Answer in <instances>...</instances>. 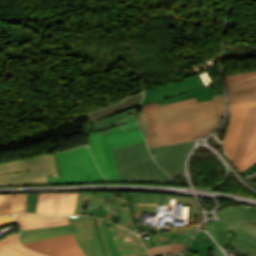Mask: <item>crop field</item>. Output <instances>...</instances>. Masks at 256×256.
<instances>
[{
    "mask_svg": "<svg viewBox=\"0 0 256 256\" xmlns=\"http://www.w3.org/2000/svg\"><path fill=\"white\" fill-rule=\"evenodd\" d=\"M70 225L22 231L20 242L73 233L75 240L86 256H105L97 234L95 218L86 216H69Z\"/></svg>",
    "mask_w": 256,
    "mask_h": 256,
    "instance_id": "ac0d7876",
    "label": "crop field"
},
{
    "mask_svg": "<svg viewBox=\"0 0 256 256\" xmlns=\"http://www.w3.org/2000/svg\"><path fill=\"white\" fill-rule=\"evenodd\" d=\"M214 100L196 102V97L159 107L146 105L143 112H154L157 134L146 137L149 148L194 140L214 130L223 117L224 95H213ZM222 115V117H219Z\"/></svg>",
    "mask_w": 256,
    "mask_h": 256,
    "instance_id": "8a807250",
    "label": "crop field"
},
{
    "mask_svg": "<svg viewBox=\"0 0 256 256\" xmlns=\"http://www.w3.org/2000/svg\"><path fill=\"white\" fill-rule=\"evenodd\" d=\"M141 99H142V93L132 96L130 98H127L125 101L118 103L112 107L105 108V109L99 110L95 113L89 114V115H87V117L92 122L96 119L104 118V117H107L114 113L137 106L140 104Z\"/></svg>",
    "mask_w": 256,
    "mask_h": 256,
    "instance_id": "dafd665d",
    "label": "crop field"
},
{
    "mask_svg": "<svg viewBox=\"0 0 256 256\" xmlns=\"http://www.w3.org/2000/svg\"><path fill=\"white\" fill-rule=\"evenodd\" d=\"M96 221H97L98 233H99V236L101 238V241H102V244H103V247H104V251H105L107 256H111L110 251H109L108 246H107V243H106V240H105V237H104L103 232H102L100 219H96Z\"/></svg>",
    "mask_w": 256,
    "mask_h": 256,
    "instance_id": "750c4746",
    "label": "crop field"
},
{
    "mask_svg": "<svg viewBox=\"0 0 256 256\" xmlns=\"http://www.w3.org/2000/svg\"><path fill=\"white\" fill-rule=\"evenodd\" d=\"M79 193H40L36 213L46 216L73 214Z\"/></svg>",
    "mask_w": 256,
    "mask_h": 256,
    "instance_id": "d1516ede",
    "label": "crop field"
},
{
    "mask_svg": "<svg viewBox=\"0 0 256 256\" xmlns=\"http://www.w3.org/2000/svg\"><path fill=\"white\" fill-rule=\"evenodd\" d=\"M240 207L233 206L225 208L219 212L220 219L219 222L228 225L227 229L235 230L237 225V219L239 215Z\"/></svg>",
    "mask_w": 256,
    "mask_h": 256,
    "instance_id": "a9b5d70f",
    "label": "crop field"
},
{
    "mask_svg": "<svg viewBox=\"0 0 256 256\" xmlns=\"http://www.w3.org/2000/svg\"><path fill=\"white\" fill-rule=\"evenodd\" d=\"M197 96V101L211 100L212 90L206 87L199 75L145 91L142 105L158 102L165 105Z\"/></svg>",
    "mask_w": 256,
    "mask_h": 256,
    "instance_id": "dd49c442",
    "label": "crop field"
},
{
    "mask_svg": "<svg viewBox=\"0 0 256 256\" xmlns=\"http://www.w3.org/2000/svg\"><path fill=\"white\" fill-rule=\"evenodd\" d=\"M100 217L112 221V213H109V209L100 208Z\"/></svg>",
    "mask_w": 256,
    "mask_h": 256,
    "instance_id": "1d83c4d3",
    "label": "crop field"
},
{
    "mask_svg": "<svg viewBox=\"0 0 256 256\" xmlns=\"http://www.w3.org/2000/svg\"><path fill=\"white\" fill-rule=\"evenodd\" d=\"M208 248L214 249L215 256H225L207 233L199 231L184 256H208Z\"/></svg>",
    "mask_w": 256,
    "mask_h": 256,
    "instance_id": "bc2a9ffb",
    "label": "crop field"
},
{
    "mask_svg": "<svg viewBox=\"0 0 256 256\" xmlns=\"http://www.w3.org/2000/svg\"><path fill=\"white\" fill-rule=\"evenodd\" d=\"M232 232H236V233L228 247L243 254L244 256H256V243L253 242L243 232H239V231H232Z\"/></svg>",
    "mask_w": 256,
    "mask_h": 256,
    "instance_id": "00972430",
    "label": "crop field"
},
{
    "mask_svg": "<svg viewBox=\"0 0 256 256\" xmlns=\"http://www.w3.org/2000/svg\"><path fill=\"white\" fill-rule=\"evenodd\" d=\"M132 213L138 227H146V233L154 228H149V225L140 224L141 212L156 213V205H131Z\"/></svg>",
    "mask_w": 256,
    "mask_h": 256,
    "instance_id": "4177f3b9",
    "label": "crop field"
},
{
    "mask_svg": "<svg viewBox=\"0 0 256 256\" xmlns=\"http://www.w3.org/2000/svg\"><path fill=\"white\" fill-rule=\"evenodd\" d=\"M195 226H190L188 228H176L171 229L170 233H159L157 234V229L150 233L153 240L145 241L144 244L157 243L156 245L171 244V243H187L191 236L189 233ZM164 238V240H163Z\"/></svg>",
    "mask_w": 256,
    "mask_h": 256,
    "instance_id": "4a817a6b",
    "label": "crop field"
},
{
    "mask_svg": "<svg viewBox=\"0 0 256 256\" xmlns=\"http://www.w3.org/2000/svg\"><path fill=\"white\" fill-rule=\"evenodd\" d=\"M26 212V194L0 195V215Z\"/></svg>",
    "mask_w": 256,
    "mask_h": 256,
    "instance_id": "92a150f3",
    "label": "crop field"
},
{
    "mask_svg": "<svg viewBox=\"0 0 256 256\" xmlns=\"http://www.w3.org/2000/svg\"><path fill=\"white\" fill-rule=\"evenodd\" d=\"M24 246L50 256H84L72 234L41 239Z\"/></svg>",
    "mask_w": 256,
    "mask_h": 256,
    "instance_id": "28ad6ade",
    "label": "crop field"
},
{
    "mask_svg": "<svg viewBox=\"0 0 256 256\" xmlns=\"http://www.w3.org/2000/svg\"><path fill=\"white\" fill-rule=\"evenodd\" d=\"M145 142L140 129L104 137L101 132L91 133L88 137L93 157L104 175L112 181H119L110 149Z\"/></svg>",
    "mask_w": 256,
    "mask_h": 256,
    "instance_id": "412701ff",
    "label": "crop field"
},
{
    "mask_svg": "<svg viewBox=\"0 0 256 256\" xmlns=\"http://www.w3.org/2000/svg\"><path fill=\"white\" fill-rule=\"evenodd\" d=\"M111 151L120 181H162L171 178L155 164L145 143Z\"/></svg>",
    "mask_w": 256,
    "mask_h": 256,
    "instance_id": "34b2d1b8",
    "label": "crop field"
},
{
    "mask_svg": "<svg viewBox=\"0 0 256 256\" xmlns=\"http://www.w3.org/2000/svg\"><path fill=\"white\" fill-rule=\"evenodd\" d=\"M256 128V107L248 108L238 145L235 149L233 163L242 157L250 143Z\"/></svg>",
    "mask_w": 256,
    "mask_h": 256,
    "instance_id": "d9b57169",
    "label": "crop field"
},
{
    "mask_svg": "<svg viewBox=\"0 0 256 256\" xmlns=\"http://www.w3.org/2000/svg\"><path fill=\"white\" fill-rule=\"evenodd\" d=\"M45 158L47 162L48 175L60 177L57 155H48L45 156Z\"/></svg>",
    "mask_w": 256,
    "mask_h": 256,
    "instance_id": "eef30255",
    "label": "crop field"
},
{
    "mask_svg": "<svg viewBox=\"0 0 256 256\" xmlns=\"http://www.w3.org/2000/svg\"><path fill=\"white\" fill-rule=\"evenodd\" d=\"M127 256H149V255L147 254V251H144V252L131 254V255H127Z\"/></svg>",
    "mask_w": 256,
    "mask_h": 256,
    "instance_id": "d32e631a",
    "label": "crop field"
},
{
    "mask_svg": "<svg viewBox=\"0 0 256 256\" xmlns=\"http://www.w3.org/2000/svg\"><path fill=\"white\" fill-rule=\"evenodd\" d=\"M18 234L19 232L0 240V256H45L22 247L17 240Z\"/></svg>",
    "mask_w": 256,
    "mask_h": 256,
    "instance_id": "214f88e0",
    "label": "crop field"
},
{
    "mask_svg": "<svg viewBox=\"0 0 256 256\" xmlns=\"http://www.w3.org/2000/svg\"><path fill=\"white\" fill-rule=\"evenodd\" d=\"M7 216H10V218H7ZM15 221L16 220L12 215L0 216V226L8 225L14 223Z\"/></svg>",
    "mask_w": 256,
    "mask_h": 256,
    "instance_id": "bd1437ed",
    "label": "crop field"
},
{
    "mask_svg": "<svg viewBox=\"0 0 256 256\" xmlns=\"http://www.w3.org/2000/svg\"><path fill=\"white\" fill-rule=\"evenodd\" d=\"M84 199L99 200L98 207L105 208H121V217L123 225H134L129 211L127 196H119L117 194H98V193H80L74 214H80ZM91 208V203H89ZM90 215V209H88Z\"/></svg>",
    "mask_w": 256,
    "mask_h": 256,
    "instance_id": "22f410ed",
    "label": "crop field"
},
{
    "mask_svg": "<svg viewBox=\"0 0 256 256\" xmlns=\"http://www.w3.org/2000/svg\"><path fill=\"white\" fill-rule=\"evenodd\" d=\"M46 182L43 157L0 164V185L39 184Z\"/></svg>",
    "mask_w": 256,
    "mask_h": 256,
    "instance_id": "e52e79f7",
    "label": "crop field"
},
{
    "mask_svg": "<svg viewBox=\"0 0 256 256\" xmlns=\"http://www.w3.org/2000/svg\"><path fill=\"white\" fill-rule=\"evenodd\" d=\"M61 178L48 176V183H89L108 182L99 173L88 147L59 153Z\"/></svg>",
    "mask_w": 256,
    "mask_h": 256,
    "instance_id": "f4fd0767",
    "label": "crop field"
},
{
    "mask_svg": "<svg viewBox=\"0 0 256 256\" xmlns=\"http://www.w3.org/2000/svg\"><path fill=\"white\" fill-rule=\"evenodd\" d=\"M183 246L184 244H171L148 248L147 250L151 256H159L167 253H180Z\"/></svg>",
    "mask_w": 256,
    "mask_h": 256,
    "instance_id": "730fd06b",
    "label": "crop field"
},
{
    "mask_svg": "<svg viewBox=\"0 0 256 256\" xmlns=\"http://www.w3.org/2000/svg\"><path fill=\"white\" fill-rule=\"evenodd\" d=\"M15 218L22 230L69 224L67 216L60 218H47L35 214H19L15 215Z\"/></svg>",
    "mask_w": 256,
    "mask_h": 256,
    "instance_id": "733c2abd",
    "label": "crop field"
},
{
    "mask_svg": "<svg viewBox=\"0 0 256 256\" xmlns=\"http://www.w3.org/2000/svg\"><path fill=\"white\" fill-rule=\"evenodd\" d=\"M229 104L256 100V71L225 75Z\"/></svg>",
    "mask_w": 256,
    "mask_h": 256,
    "instance_id": "3316defc",
    "label": "crop field"
},
{
    "mask_svg": "<svg viewBox=\"0 0 256 256\" xmlns=\"http://www.w3.org/2000/svg\"><path fill=\"white\" fill-rule=\"evenodd\" d=\"M124 227H126V228H128V229L133 230V231H135V232H136V230H135L134 226H124ZM136 233H137V232H136Z\"/></svg>",
    "mask_w": 256,
    "mask_h": 256,
    "instance_id": "5866460e",
    "label": "crop field"
},
{
    "mask_svg": "<svg viewBox=\"0 0 256 256\" xmlns=\"http://www.w3.org/2000/svg\"><path fill=\"white\" fill-rule=\"evenodd\" d=\"M250 179H256V174H254Z\"/></svg>",
    "mask_w": 256,
    "mask_h": 256,
    "instance_id": "028f5c9d",
    "label": "crop field"
},
{
    "mask_svg": "<svg viewBox=\"0 0 256 256\" xmlns=\"http://www.w3.org/2000/svg\"><path fill=\"white\" fill-rule=\"evenodd\" d=\"M101 222H102L103 232L105 234V237H106L109 249L111 251V254H112V256H117L114 245H113V242H112V239H111V236H110V233H109V230H108L107 225H106V222L103 221V220H101Z\"/></svg>",
    "mask_w": 256,
    "mask_h": 256,
    "instance_id": "d3111659",
    "label": "crop field"
},
{
    "mask_svg": "<svg viewBox=\"0 0 256 256\" xmlns=\"http://www.w3.org/2000/svg\"><path fill=\"white\" fill-rule=\"evenodd\" d=\"M226 227H227L226 225H223V224L219 223L218 221L209 222L208 224L203 226V228H206L210 232L211 236L214 239H216L218 229L225 230Z\"/></svg>",
    "mask_w": 256,
    "mask_h": 256,
    "instance_id": "ae1a2a85",
    "label": "crop field"
},
{
    "mask_svg": "<svg viewBox=\"0 0 256 256\" xmlns=\"http://www.w3.org/2000/svg\"><path fill=\"white\" fill-rule=\"evenodd\" d=\"M251 106H256V101L229 105L230 124L223 145L230 158H232L235 146L238 142L246 109ZM254 163H256V131L246 154L234 164L242 171Z\"/></svg>",
    "mask_w": 256,
    "mask_h": 256,
    "instance_id": "d8731c3e",
    "label": "crop field"
},
{
    "mask_svg": "<svg viewBox=\"0 0 256 256\" xmlns=\"http://www.w3.org/2000/svg\"><path fill=\"white\" fill-rule=\"evenodd\" d=\"M245 175H252L253 173L256 172V164L253 166L249 167L248 169L242 171Z\"/></svg>",
    "mask_w": 256,
    "mask_h": 256,
    "instance_id": "120bbe31",
    "label": "crop field"
},
{
    "mask_svg": "<svg viewBox=\"0 0 256 256\" xmlns=\"http://www.w3.org/2000/svg\"><path fill=\"white\" fill-rule=\"evenodd\" d=\"M128 195L131 203H141V204L170 205V199H176V203H183V205L191 206L189 223L199 224L202 220L201 213L194 201V198L173 197V196L152 195V194H128Z\"/></svg>",
    "mask_w": 256,
    "mask_h": 256,
    "instance_id": "cbeb9de0",
    "label": "crop field"
},
{
    "mask_svg": "<svg viewBox=\"0 0 256 256\" xmlns=\"http://www.w3.org/2000/svg\"><path fill=\"white\" fill-rule=\"evenodd\" d=\"M125 229V228H124ZM118 226H112L109 230L111 236L114 237L113 242L117 251L118 256H123L131 253L144 251L145 248L142 245L141 240L138 236L124 230Z\"/></svg>",
    "mask_w": 256,
    "mask_h": 256,
    "instance_id": "5142ce71",
    "label": "crop field"
},
{
    "mask_svg": "<svg viewBox=\"0 0 256 256\" xmlns=\"http://www.w3.org/2000/svg\"><path fill=\"white\" fill-rule=\"evenodd\" d=\"M192 142L177 143L171 145L151 148V154L155 155L154 160L171 177L179 176L184 172V160L189 153Z\"/></svg>",
    "mask_w": 256,
    "mask_h": 256,
    "instance_id": "5a996713",
    "label": "crop field"
}]
</instances>
